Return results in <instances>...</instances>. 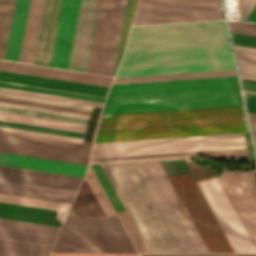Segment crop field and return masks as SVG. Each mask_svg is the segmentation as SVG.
<instances>
[{"mask_svg": "<svg viewBox=\"0 0 256 256\" xmlns=\"http://www.w3.org/2000/svg\"><path fill=\"white\" fill-rule=\"evenodd\" d=\"M51 252H136L129 237H58Z\"/></svg>", "mask_w": 256, "mask_h": 256, "instance_id": "17", "label": "crop field"}, {"mask_svg": "<svg viewBox=\"0 0 256 256\" xmlns=\"http://www.w3.org/2000/svg\"><path fill=\"white\" fill-rule=\"evenodd\" d=\"M256 0H235L238 15L235 20L245 21Z\"/></svg>", "mask_w": 256, "mask_h": 256, "instance_id": "40", "label": "crop field"}, {"mask_svg": "<svg viewBox=\"0 0 256 256\" xmlns=\"http://www.w3.org/2000/svg\"><path fill=\"white\" fill-rule=\"evenodd\" d=\"M229 45L224 20L131 27L125 52ZM234 69L230 46L125 53L116 77Z\"/></svg>", "mask_w": 256, "mask_h": 256, "instance_id": "1", "label": "crop field"}, {"mask_svg": "<svg viewBox=\"0 0 256 256\" xmlns=\"http://www.w3.org/2000/svg\"><path fill=\"white\" fill-rule=\"evenodd\" d=\"M142 256H256V255H213V254H141Z\"/></svg>", "mask_w": 256, "mask_h": 256, "instance_id": "43", "label": "crop field"}, {"mask_svg": "<svg viewBox=\"0 0 256 256\" xmlns=\"http://www.w3.org/2000/svg\"><path fill=\"white\" fill-rule=\"evenodd\" d=\"M80 1H45L33 63L67 69Z\"/></svg>", "mask_w": 256, "mask_h": 256, "instance_id": "6", "label": "crop field"}, {"mask_svg": "<svg viewBox=\"0 0 256 256\" xmlns=\"http://www.w3.org/2000/svg\"><path fill=\"white\" fill-rule=\"evenodd\" d=\"M196 252H208L159 162L147 163Z\"/></svg>", "mask_w": 256, "mask_h": 256, "instance_id": "19", "label": "crop field"}, {"mask_svg": "<svg viewBox=\"0 0 256 256\" xmlns=\"http://www.w3.org/2000/svg\"><path fill=\"white\" fill-rule=\"evenodd\" d=\"M126 0H100L86 72L111 76Z\"/></svg>", "mask_w": 256, "mask_h": 256, "instance_id": "7", "label": "crop field"}, {"mask_svg": "<svg viewBox=\"0 0 256 256\" xmlns=\"http://www.w3.org/2000/svg\"><path fill=\"white\" fill-rule=\"evenodd\" d=\"M240 104L234 76L112 84L102 114Z\"/></svg>", "mask_w": 256, "mask_h": 256, "instance_id": "4", "label": "crop field"}, {"mask_svg": "<svg viewBox=\"0 0 256 256\" xmlns=\"http://www.w3.org/2000/svg\"><path fill=\"white\" fill-rule=\"evenodd\" d=\"M243 105L102 115L94 143L248 132Z\"/></svg>", "mask_w": 256, "mask_h": 256, "instance_id": "3", "label": "crop field"}, {"mask_svg": "<svg viewBox=\"0 0 256 256\" xmlns=\"http://www.w3.org/2000/svg\"><path fill=\"white\" fill-rule=\"evenodd\" d=\"M0 96H6V97H12V98H18V99H25V100H31V101H37V102H44V103H50V104H56V105H63V106H69V107H76V108H82V109H88V110H91V108H92V106H89V105L69 103V102L56 101V100H49V99L23 96V95H16V94L3 93V92H0Z\"/></svg>", "mask_w": 256, "mask_h": 256, "instance_id": "36", "label": "crop field"}, {"mask_svg": "<svg viewBox=\"0 0 256 256\" xmlns=\"http://www.w3.org/2000/svg\"><path fill=\"white\" fill-rule=\"evenodd\" d=\"M0 125L83 138L84 134L0 121Z\"/></svg>", "mask_w": 256, "mask_h": 256, "instance_id": "38", "label": "crop field"}, {"mask_svg": "<svg viewBox=\"0 0 256 256\" xmlns=\"http://www.w3.org/2000/svg\"><path fill=\"white\" fill-rule=\"evenodd\" d=\"M234 252H256V248L219 183L199 188Z\"/></svg>", "mask_w": 256, "mask_h": 256, "instance_id": "12", "label": "crop field"}, {"mask_svg": "<svg viewBox=\"0 0 256 256\" xmlns=\"http://www.w3.org/2000/svg\"><path fill=\"white\" fill-rule=\"evenodd\" d=\"M14 0H0V59H3Z\"/></svg>", "mask_w": 256, "mask_h": 256, "instance_id": "32", "label": "crop field"}, {"mask_svg": "<svg viewBox=\"0 0 256 256\" xmlns=\"http://www.w3.org/2000/svg\"><path fill=\"white\" fill-rule=\"evenodd\" d=\"M29 0H16L4 59L17 61ZM44 0H31L18 61L32 63Z\"/></svg>", "mask_w": 256, "mask_h": 256, "instance_id": "10", "label": "crop field"}, {"mask_svg": "<svg viewBox=\"0 0 256 256\" xmlns=\"http://www.w3.org/2000/svg\"><path fill=\"white\" fill-rule=\"evenodd\" d=\"M72 209L76 216H116L97 179L83 182Z\"/></svg>", "mask_w": 256, "mask_h": 256, "instance_id": "20", "label": "crop field"}, {"mask_svg": "<svg viewBox=\"0 0 256 256\" xmlns=\"http://www.w3.org/2000/svg\"><path fill=\"white\" fill-rule=\"evenodd\" d=\"M9 76V78H7ZM0 80L105 97L109 88L0 71Z\"/></svg>", "mask_w": 256, "mask_h": 256, "instance_id": "23", "label": "crop field"}, {"mask_svg": "<svg viewBox=\"0 0 256 256\" xmlns=\"http://www.w3.org/2000/svg\"><path fill=\"white\" fill-rule=\"evenodd\" d=\"M217 0H139L132 25L221 19Z\"/></svg>", "mask_w": 256, "mask_h": 256, "instance_id": "8", "label": "crop field"}, {"mask_svg": "<svg viewBox=\"0 0 256 256\" xmlns=\"http://www.w3.org/2000/svg\"><path fill=\"white\" fill-rule=\"evenodd\" d=\"M227 75H236V74H235L234 70H227V71H212V72H197V73L122 77V78H115L113 83L150 81V80H165V79H181V78H196V77H211V76H227Z\"/></svg>", "mask_w": 256, "mask_h": 256, "instance_id": "29", "label": "crop field"}, {"mask_svg": "<svg viewBox=\"0 0 256 256\" xmlns=\"http://www.w3.org/2000/svg\"><path fill=\"white\" fill-rule=\"evenodd\" d=\"M0 100L1 101L14 102V103L27 104V105L40 106V107L54 108V109H60V110H67V111H73V112H80V113H86V114L90 113V111H88V110L69 108V107H63V106H56V105L37 103V102H31V101H25V100H18V99H12V98L0 97Z\"/></svg>", "mask_w": 256, "mask_h": 256, "instance_id": "39", "label": "crop field"}, {"mask_svg": "<svg viewBox=\"0 0 256 256\" xmlns=\"http://www.w3.org/2000/svg\"><path fill=\"white\" fill-rule=\"evenodd\" d=\"M213 157L249 160L243 133L94 144L90 163Z\"/></svg>", "mask_w": 256, "mask_h": 256, "instance_id": "5", "label": "crop field"}, {"mask_svg": "<svg viewBox=\"0 0 256 256\" xmlns=\"http://www.w3.org/2000/svg\"><path fill=\"white\" fill-rule=\"evenodd\" d=\"M49 256H138L137 253H50Z\"/></svg>", "mask_w": 256, "mask_h": 256, "instance_id": "42", "label": "crop field"}, {"mask_svg": "<svg viewBox=\"0 0 256 256\" xmlns=\"http://www.w3.org/2000/svg\"><path fill=\"white\" fill-rule=\"evenodd\" d=\"M0 106L33 110V111L46 112V113L59 114V115L72 116V117H79V118H85V119H88V117H89V115H86V114L66 112V111L40 108V107H34V106H27V105H20V104L7 103V102H1V101H0Z\"/></svg>", "mask_w": 256, "mask_h": 256, "instance_id": "35", "label": "crop field"}, {"mask_svg": "<svg viewBox=\"0 0 256 256\" xmlns=\"http://www.w3.org/2000/svg\"><path fill=\"white\" fill-rule=\"evenodd\" d=\"M0 111L18 113V114H24V115H31V116H37V117H44V118H51V119H57V120H64V121H70V122H77V123H83V124H86L88 121L85 119L65 117V116L39 113V112H33V111H26V110H19V109L6 108V107H0Z\"/></svg>", "mask_w": 256, "mask_h": 256, "instance_id": "34", "label": "crop field"}, {"mask_svg": "<svg viewBox=\"0 0 256 256\" xmlns=\"http://www.w3.org/2000/svg\"><path fill=\"white\" fill-rule=\"evenodd\" d=\"M6 203V202H5ZM0 203V218L60 227L66 213Z\"/></svg>", "mask_w": 256, "mask_h": 256, "instance_id": "25", "label": "crop field"}, {"mask_svg": "<svg viewBox=\"0 0 256 256\" xmlns=\"http://www.w3.org/2000/svg\"><path fill=\"white\" fill-rule=\"evenodd\" d=\"M0 70L109 87L113 78L0 60Z\"/></svg>", "mask_w": 256, "mask_h": 256, "instance_id": "22", "label": "crop field"}, {"mask_svg": "<svg viewBox=\"0 0 256 256\" xmlns=\"http://www.w3.org/2000/svg\"><path fill=\"white\" fill-rule=\"evenodd\" d=\"M231 32L256 35V25L229 21ZM231 33L233 43L237 46L256 48V36Z\"/></svg>", "mask_w": 256, "mask_h": 256, "instance_id": "31", "label": "crop field"}, {"mask_svg": "<svg viewBox=\"0 0 256 256\" xmlns=\"http://www.w3.org/2000/svg\"><path fill=\"white\" fill-rule=\"evenodd\" d=\"M0 130H7V131H13V132H20V133H26V134H33V135H39V136L52 137V138L72 140V141H78V142L82 141V139H80V138L67 137V136H61V135H54V134H48V133H41V132H34V131L21 130V129H15V128H8V127H2V126H0Z\"/></svg>", "mask_w": 256, "mask_h": 256, "instance_id": "41", "label": "crop field"}, {"mask_svg": "<svg viewBox=\"0 0 256 256\" xmlns=\"http://www.w3.org/2000/svg\"><path fill=\"white\" fill-rule=\"evenodd\" d=\"M218 180L256 246L255 171L223 170Z\"/></svg>", "mask_w": 256, "mask_h": 256, "instance_id": "11", "label": "crop field"}, {"mask_svg": "<svg viewBox=\"0 0 256 256\" xmlns=\"http://www.w3.org/2000/svg\"><path fill=\"white\" fill-rule=\"evenodd\" d=\"M93 170L95 171L100 183L102 184L107 196L109 197L112 205L114 206L116 212L118 211H122L123 208L118 200V198L116 197L111 185L109 184L105 174L103 173L100 165H91ZM122 221V223L124 224L125 228L127 229L136 249L138 250V252H147L145 246L143 245L140 237L138 236L136 230L134 229L131 221L129 220L127 214L125 211L123 212H119L117 213Z\"/></svg>", "mask_w": 256, "mask_h": 256, "instance_id": "26", "label": "crop field"}, {"mask_svg": "<svg viewBox=\"0 0 256 256\" xmlns=\"http://www.w3.org/2000/svg\"><path fill=\"white\" fill-rule=\"evenodd\" d=\"M0 120L84 133L86 125L0 112Z\"/></svg>", "mask_w": 256, "mask_h": 256, "instance_id": "27", "label": "crop field"}, {"mask_svg": "<svg viewBox=\"0 0 256 256\" xmlns=\"http://www.w3.org/2000/svg\"><path fill=\"white\" fill-rule=\"evenodd\" d=\"M0 152L86 165L88 157L0 144ZM0 153V159L84 172L86 166Z\"/></svg>", "mask_w": 256, "mask_h": 256, "instance_id": "15", "label": "crop field"}, {"mask_svg": "<svg viewBox=\"0 0 256 256\" xmlns=\"http://www.w3.org/2000/svg\"><path fill=\"white\" fill-rule=\"evenodd\" d=\"M60 228L0 219V238L51 246Z\"/></svg>", "mask_w": 256, "mask_h": 256, "instance_id": "21", "label": "crop field"}, {"mask_svg": "<svg viewBox=\"0 0 256 256\" xmlns=\"http://www.w3.org/2000/svg\"><path fill=\"white\" fill-rule=\"evenodd\" d=\"M0 143L66 152L85 156H87L90 146L87 144L54 140L2 131H0Z\"/></svg>", "mask_w": 256, "mask_h": 256, "instance_id": "24", "label": "crop field"}, {"mask_svg": "<svg viewBox=\"0 0 256 256\" xmlns=\"http://www.w3.org/2000/svg\"><path fill=\"white\" fill-rule=\"evenodd\" d=\"M245 95L256 96V81L241 79ZM245 96L248 112L256 113V97Z\"/></svg>", "mask_w": 256, "mask_h": 256, "instance_id": "37", "label": "crop field"}, {"mask_svg": "<svg viewBox=\"0 0 256 256\" xmlns=\"http://www.w3.org/2000/svg\"><path fill=\"white\" fill-rule=\"evenodd\" d=\"M101 167L148 252H195L146 163Z\"/></svg>", "mask_w": 256, "mask_h": 256, "instance_id": "2", "label": "crop field"}, {"mask_svg": "<svg viewBox=\"0 0 256 256\" xmlns=\"http://www.w3.org/2000/svg\"><path fill=\"white\" fill-rule=\"evenodd\" d=\"M254 139L256 140V131H253ZM256 145V143H255Z\"/></svg>", "mask_w": 256, "mask_h": 256, "instance_id": "46", "label": "crop field"}, {"mask_svg": "<svg viewBox=\"0 0 256 256\" xmlns=\"http://www.w3.org/2000/svg\"><path fill=\"white\" fill-rule=\"evenodd\" d=\"M0 86L104 102L105 98L0 82Z\"/></svg>", "mask_w": 256, "mask_h": 256, "instance_id": "33", "label": "crop field"}, {"mask_svg": "<svg viewBox=\"0 0 256 256\" xmlns=\"http://www.w3.org/2000/svg\"><path fill=\"white\" fill-rule=\"evenodd\" d=\"M0 191L71 202L74 194L59 190L0 182ZM0 192V201L67 211L70 203Z\"/></svg>", "mask_w": 256, "mask_h": 256, "instance_id": "14", "label": "crop field"}, {"mask_svg": "<svg viewBox=\"0 0 256 256\" xmlns=\"http://www.w3.org/2000/svg\"><path fill=\"white\" fill-rule=\"evenodd\" d=\"M250 115H251L250 120H251L252 129L256 130V114L250 113Z\"/></svg>", "mask_w": 256, "mask_h": 256, "instance_id": "45", "label": "crop field"}, {"mask_svg": "<svg viewBox=\"0 0 256 256\" xmlns=\"http://www.w3.org/2000/svg\"><path fill=\"white\" fill-rule=\"evenodd\" d=\"M246 21L248 22H256V4L254 8L252 9L251 13L247 17Z\"/></svg>", "mask_w": 256, "mask_h": 256, "instance_id": "44", "label": "crop field"}, {"mask_svg": "<svg viewBox=\"0 0 256 256\" xmlns=\"http://www.w3.org/2000/svg\"><path fill=\"white\" fill-rule=\"evenodd\" d=\"M99 0H82L68 69L86 70Z\"/></svg>", "mask_w": 256, "mask_h": 256, "instance_id": "16", "label": "crop field"}, {"mask_svg": "<svg viewBox=\"0 0 256 256\" xmlns=\"http://www.w3.org/2000/svg\"><path fill=\"white\" fill-rule=\"evenodd\" d=\"M50 247L0 239V256H46Z\"/></svg>", "mask_w": 256, "mask_h": 256, "instance_id": "28", "label": "crop field"}, {"mask_svg": "<svg viewBox=\"0 0 256 256\" xmlns=\"http://www.w3.org/2000/svg\"><path fill=\"white\" fill-rule=\"evenodd\" d=\"M0 165L52 172V173H59V174L72 175V176H79V177L83 176V174L81 173L43 168V167H37V166H30V165L11 163V162H5V161H0ZM79 177L55 175V174H48V173L0 166V179L67 188V189H73V190L77 189L81 181V178ZM7 180H2V181H7ZM13 181H9V182H13ZM20 182H16V183H20ZM27 183H23V184H27ZM33 184H30V185H33ZM40 185H36V186H40ZM47 186H42V187H47ZM53 187H48V188H53ZM60 188H54V189H60ZM67 189H60V190L75 192L73 190H67Z\"/></svg>", "mask_w": 256, "mask_h": 256, "instance_id": "13", "label": "crop field"}, {"mask_svg": "<svg viewBox=\"0 0 256 256\" xmlns=\"http://www.w3.org/2000/svg\"><path fill=\"white\" fill-rule=\"evenodd\" d=\"M58 236H127L115 217H67Z\"/></svg>", "mask_w": 256, "mask_h": 256, "instance_id": "18", "label": "crop field"}, {"mask_svg": "<svg viewBox=\"0 0 256 256\" xmlns=\"http://www.w3.org/2000/svg\"><path fill=\"white\" fill-rule=\"evenodd\" d=\"M240 75L244 79L256 80V49L234 46Z\"/></svg>", "mask_w": 256, "mask_h": 256, "instance_id": "30", "label": "crop field"}, {"mask_svg": "<svg viewBox=\"0 0 256 256\" xmlns=\"http://www.w3.org/2000/svg\"><path fill=\"white\" fill-rule=\"evenodd\" d=\"M209 252H233L191 174L168 176Z\"/></svg>", "mask_w": 256, "mask_h": 256, "instance_id": "9", "label": "crop field"}]
</instances>
